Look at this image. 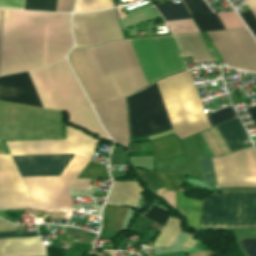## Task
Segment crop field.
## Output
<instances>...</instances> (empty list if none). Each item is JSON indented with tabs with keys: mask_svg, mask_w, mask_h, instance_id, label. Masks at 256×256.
Here are the masks:
<instances>
[{
	"mask_svg": "<svg viewBox=\"0 0 256 256\" xmlns=\"http://www.w3.org/2000/svg\"><path fill=\"white\" fill-rule=\"evenodd\" d=\"M24 0H0V7L10 9H23Z\"/></svg>",
	"mask_w": 256,
	"mask_h": 256,
	"instance_id": "120bbe31",
	"label": "crop field"
},
{
	"mask_svg": "<svg viewBox=\"0 0 256 256\" xmlns=\"http://www.w3.org/2000/svg\"><path fill=\"white\" fill-rule=\"evenodd\" d=\"M181 230L180 221L169 218L165 227L154 241V246L170 247Z\"/></svg>",
	"mask_w": 256,
	"mask_h": 256,
	"instance_id": "214f88e0",
	"label": "crop field"
},
{
	"mask_svg": "<svg viewBox=\"0 0 256 256\" xmlns=\"http://www.w3.org/2000/svg\"><path fill=\"white\" fill-rule=\"evenodd\" d=\"M141 193L142 188L137 181L130 183L113 182L107 203L124 204L135 207Z\"/></svg>",
	"mask_w": 256,
	"mask_h": 256,
	"instance_id": "5142ce71",
	"label": "crop field"
},
{
	"mask_svg": "<svg viewBox=\"0 0 256 256\" xmlns=\"http://www.w3.org/2000/svg\"><path fill=\"white\" fill-rule=\"evenodd\" d=\"M28 73L44 108L66 111L68 121L110 140L100 126L66 59L46 69Z\"/></svg>",
	"mask_w": 256,
	"mask_h": 256,
	"instance_id": "412701ff",
	"label": "crop field"
},
{
	"mask_svg": "<svg viewBox=\"0 0 256 256\" xmlns=\"http://www.w3.org/2000/svg\"><path fill=\"white\" fill-rule=\"evenodd\" d=\"M151 142L154 159L185 151L181 140L174 133L152 139Z\"/></svg>",
	"mask_w": 256,
	"mask_h": 256,
	"instance_id": "733c2abd",
	"label": "crop field"
},
{
	"mask_svg": "<svg viewBox=\"0 0 256 256\" xmlns=\"http://www.w3.org/2000/svg\"><path fill=\"white\" fill-rule=\"evenodd\" d=\"M256 226V192H223L204 200L200 227Z\"/></svg>",
	"mask_w": 256,
	"mask_h": 256,
	"instance_id": "dd49c442",
	"label": "crop field"
},
{
	"mask_svg": "<svg viewBox=\"0 0 256 256\" xmlns=\"http://www.w3.org/2000/svg\"><path fill=\"white\" fill-rule=\"evenodd\" d=\"M212 160L219 187H256V154L252 147Z\"/></svg>",
	"mask_w": 256,
	"mask_h": 256,
	"instance_id": "5a996713",
	"label": "crop field"
},
{
	"mask_svg": "<svg viewBox=\"0 0 256 256\" xmlns=\"http://www.w3.org/2000/svg\"><path fill=\"white\" fill-rule=\"evenodd\" d=\"M0 170H17L10 155H0Z\"/></svg>",
	"mask_w": 256,
	"mask_h": 256,
	"instance_id": "bd1437ed",
	"label": "crop field"
},
{
	"mask_svg": "<svg viewBox=\"0 0 256 256\" xmlns=\"http://www.w3.org/2000/svg\"><path fill=\"white\" fill-rule=\"evenodd\" d=\"M155 7L160 11L165 20L189 18L182 3L162 4Z\"/></svg>",
	"mask_w": 256,
	"mask_h": 256,
	"instance_id": "92a150f3",
	"label": "crop field"
},
{
	"mask_svg": "<svg viewBox=\"0 0 256 256\" xmlns=\"http://www.w3.org/2000/svg\"><path fill=\"white\" fill-rule=\"evenodd\" d=\"M112 0H77L74 12L95 11L111 8Z\"/></svg>",
	"mask_w": 256,
	"mask_h": 256,
	"instance_id": "dafd665d",
	"label": "crop field"
},
{
	"mask_svg": "<svg viewBox=\"0 0 256 256\" xmlns=\"http://www.w3.org/2000/svg\"><path fill=\"white\" fill-rule=\"evenodd\" d=\"M71 14L4 10L0 75L39 69L73 46Z\"/></svg>",
	"mask_w": 256,
	"mask_h": 256,
	"instance_id": "ac0d7876",
	"label": "crop field"
},
{
	"mask_svg": "<svg viewBox=\"0 0 256 256\" xmlns=\"http://www.w3.org/2000/svg\"><path fill=\"white\" fill-rule=\"evenodd\" d=\"M146 218L160 224L163 226V224L165 223V221L168 219L169 214L168 212L156 207V206H152L150 208V210L145 214Z\"/></svg>",
	"mask_w": 256,
	"mask_h": 256,
	"instance_id": "ae1a2a85",
	"label": "crop field"
},
{
	"mask_svg": "<svg viewBox=\"0 0 256 256\" xmlns=\"http://www.w3.org/2000/svg\"><path fill=\"white\" fill-rule=\"evenodd\" d=\"M240 244L249 256H256V239L240 240Z\"/></svg>",
	"mask_w": 256,
	"mask_h": 256,
	"instance_id": "1d83c4d3",
	"label": "crop field"
},
{
	"mask_svg": "<svg viewBox=\"0 0 256 256\" xmlns=\"http://www.w3.org/2000/svg\"><path fill=\"white\" fill-rule=\"evenodd\" d=\"M127 101L130 124L167 114L156 83L129 97Z\"/></svg>",
	"mask_w": 256,
	"mask_h": 256,
	"instance_id": "28ad6ade",
	"label": "crop field"
},
{
	"mask_svg": "<svg viewBox=\"0 0 256 256\" xmlns=\"http://www.w3.org/2000/svg\"><path fill=\"white\" fill-rule=\"evenodd\" d=\"M127 208L106 204L103 210L102 228L120 231Z\"/></svg>",
	"mask_w": 256,
	"mask_h": 256,
	"instance_id": "bc2a9ffb",
	"label": "crop field"
},
{
	"mask_svg": "<svg viewBox=\"0 0 256 256\" xmlns=\"http://www.w3.org/2000/svg\"><path fill=\"white\" fill-rule=\"evenodd\" d=\"M186 159H188L187 154L186 153H181V154H178V155L158 159L156 161H174V160H186Z\"/></svg>",
	"mask_w": 256,
	"mask_h": 256,
	"instance_id": "5866460e",
	"label": "crop field"
},
{
	"mask_svg": "<svg viewBox=\"0 0 256 256\" xmlns=\"http://www.w3.org/2000/svg\"><path fill=\"white\" fill-rule=\"evenodd\" d=\"M200 160L204 181L218 187L212 160L203 158H200Z\"/></svg>",
	"mask_w": 256,
	"mask_h": 256,
	"instance_id": "730fd06b",
	"label": "crop field"
},
{
	"mask_svg": "<svg viewBox=\"0 0 256 256\" xmlns=\"http://www.w3.org/2000/svg\"><path fill=\"white\" fill-rule=\"evenodd\" d=\"M0 185H24L18 171H0Z\"/></svg>",
	"mask_w": 256,
	"mask_h": 256,
	"instance_id": "eef30255",
	"label": "crop field"
},
{
	"mask_svg": "<svg viewBox=\"0 0 256 256\" xmlns=\"http://www.w3.org/2000/svg\"><path fill=\"white\" fill-rule=\"evenodd\" d=\"M131 41L148 83L186 69L173 36ZM131 41L94 47L114 99L148 85Z\"/></svg>",
	"mask_w": 256,
	"mask_h": 256,
	"instance_id": "34b2d1b8",
	"label": "crop field"
},
{
	"mask_svg": "<svg viewBox=\"0 0 256 256\" xmlns=\"http://www.w3.org/2000/svg\"><path fill=\"white\" fill-rule=\"evenodd\" d=\"M244 2L248 5V7L252 10L254 15L256 16V0H244Z\"/></svg>",
	"mask_w": 256,
	"mask_h": 256,
	"instance_id": "028f5c9d",
	"label": "crop field"
},
{
	"mask_svg": "<svg viewBox=\"0 0 256 256\" xmlns=\"http://www.w3.org/2000/svg\"><path fill=\"white\" fill-rule=\"evenodd\" d=\"M56 0H25L24 9L55 12Z\"/></svg>",
	"mask_w": 256,
	"mask_h": 256,
	"instance_id": "4177f3b9",
	"label": "crop field"
},
{
	"mask_svg": "<svg viewBox=\"0 0 256 256\" xmlns=\"http://www.w3.org/2000/svg\"><path fill=\"white\" fill-rule=\"evenodd\" d=\"M1 17H2V9H0V34H1Z\"/></svg>",
	"mask_w": 256,
	"mask_h": 256,
	"instance_id": "e1f06a70",
	"label": "crop field"
},
{
	"mask_svg": "<svg viewBox=\"0 0 256 256\" xmlns=\"http://www.w3.org/2000/svg\"><path fill=\"white\" fill-rule=\"evenodd\" d=\"M68 60L91 105L113 99L93 47L72 50Z\"/></svg>",
	"mask_w": 256,
	"mask_h": 256,
	"instance_id": "d8731c3e",
	"label": "crop field"
},
{
	"mask_svg": "<svg viewBox=\"0 0 256 256\" xmlns=\"http://www.w3.org/2000/svg\"><path fill=\"white\" fill-rule=\"evenodd\" d=\"M75 0H58L56 11L58 12H72Z\"/></svg>",
	"mask_w": 256,
	"mask_h": 256,
	"instance_id": "d32e631a",
	"label": "crop field"
},
{
	"mask_svg": "<svg viewBox=\"0 0 256 256\" xmlns=\"http://www.w3.org/2000/svg\"><path fill=\"white\" fill-rule=\"evenodd\" d=\"M161 179L166 190L183 191L182 184L184 182L183 176L173 174L156 173Z\"/></svg>",
	"mask_w": 256,
	"mask_h": 256,
	"instance_id": "00972430",
	"label": "crop field"
},
{
	"mask_svg": "<svg viewBox=\"0 0 256 256\" xmlns=\"http://www.w3.org/2000/svg\"><path fill=\"white\" fill-rule=\"evenodd\" d=\"M171 127L172 126L170 124L169 118L166 115L156 119L132 124L130 125V130H131V136L132 138H134L138 136L160 132Z\"/></svg>",
	"mask_w": 256,
	"mask_h": 256,
	"instance_id": "4a817a6b",
	"label": "crop field"
},
{
	"mask_svg": "<svg viewBox=\"0 0 256 256\" xmlns=\"http://www.w3.org/2000/svg\"><path fill=\"white\" fill-rule=\"evenodd\" d=\"M11 154L76 153L90 159L98 141L67 126L66 140L6 142ZM74 154L12 155L22 177L59 176ZM88 160L74 156L61 178H77ZM107 167L89 161L78 178H107ZM34 208L69 210L66 190H90L91 179L23 178ZM25 186H0V210L34 209Z\"/></svg>",
	"mask_w": 256,
	"mask_h": 256,
	"instance_id": "8a807250",
	"label": "crop field"
},
{
	"mask_svg": "<svg viewBox=\"0 0 256 256\" xmlns=\"http://www.w3.org/2000/svg\"><path fill=\"white\" fill-rule=\"evenodd\" d=\"M37 236L36 231L16 235L15 230L0 231V238ZM0 256H45L38 237L0 239Z\"/></svg>",
	"mask_w": 256,
	"mask_h": 256,
	"instance_id": "22f410ed",
	"label": "crop field"
},
{
	"mask_svg": "<svg viewBox=\"0 0 256 256\" xmlns=\"http://www.w3.org/2000/svg\"><path fill=\"white\" fill-rule=\"evenodd\" d=\"M206 116L208 118L210 126L212 127L218 123L229 120V119L235 117L236 115L234 113L232 106H228L221 110L207 114Z\"/></svg>",
	"mask_w": 256,
	"mask_h": 256,
	"instance_id": "a9b5d70f",
	"label": "crop field"
},
{
	"mask_svg": "<svg viewBox=\"0 0 256 256\" xmlns=\"http://www.w3.org/2000/svg\"><path fill=\"white\" fill-rule=\"evenodd\" d=\"M182 56H193L195 62L213 60L211 52L200 33L174 35Z\"/></svg>",
	"mask_w": 256,
	"mask_h": 256,
	"instance_id": "cbeb9de0",
	"label": "crop field"
},
{
	"mask_svg": "<svg viewBox=\"0 0 256 256\" xmlns=\"http://www.w3.org/2000/svg\"><path fill=\"white\" fill-rule=\"evenodd\" d=\"M61 138V113L0 101L1 140Z\"/></svg>",
	"mask_w": 256,
	"mask_h": 256,
	"instance_id": "f4fd0767",
	"label": "crop field"
},
{
	"mask_svg": "<svg viewBox=\"0 0 256 256\" xmlns=\"http://www.w3.org/2000/svg\"><path fill=\"white\" fill-rule=\"evenodd\" d=\"M191 14L211 12L203 0H184Z\"/></svg>",
	"mask_w": 256,
	"mask_h": 256,
	"instance_id": "d3111659",
	"label": "crop field"
},
{
	"mask_svg": "<svg viewBox=\"0 0 256 256\" xmlns=\"http://www.w3.org/2000/svg\"><path fill=\"white\" fill-rule=\"evenodd\" d=\"M0 100L43 108L26 72L0 77Z\"/></svg>",
	"mask_w": 256,
	"mask_h": 256,
	"instance_id": "d1516ede",
	"label": "crop field"
},
{
	"mask_svg": "<svg viewBox=\"0 0 256 256\" xmlns=\"http://www.w3.org/2000/svg\"><path fill=\"white\" fill-rule=\"evenodd\" d=\"M74 47H88L123 39L115 9L73 14Z\"/></svg>",
	"mask_w": 256,
	"mask_h": 256,
	"instance_id": "e52e79f7",
	"label": "crop field"
},
{
	"mask_svg": "<svg viewBox=\"0 0 256 256\" xmlns=\"http://www.w3.org/2000/svg\"><path fill=\"white\" fill-rule=\"evenodd\" d=\"M101 124L115 143L128 147L125 98L94 106Z\"/></svg>",
	"mask_w": 256,
	"mask_h": 256,
	"instance_id": "3316defc",
	"label": "crop field"
},
{
	"mask_svg": "<svg viewBox=\"0 0 256 256\" xmlns=\"http://www.w3.org/2000/svg\"><path fill=\"white\" fill-rule=\"evenodd\" d=\"M217 128L232 153L243 149L240 142L248 138L237 117L217 125Z\"/></svg>",
	"mask_w": 256,
	"mask_h": 256,
	"instance_id": "d9b57169",
	"label": "crop field"
},
{
	"mask_svg": "<svg viewBox=\"0 0 256 256\" xmlns=\"http://www.w3.org/2000/svg\"><path fill=\"white\" fill-rule=\"evenodd\" d=\"M240 16L256 37V18L253 16L251 11L240 13Z\"/></svg>",
	"mask_w": 256,
	"mask_h": 256,
	"instance_id": "750c4746",
	"label": "crop field"
}]
</instances>
